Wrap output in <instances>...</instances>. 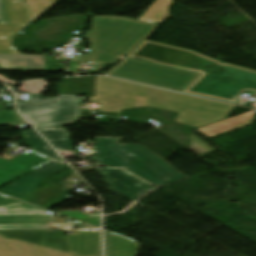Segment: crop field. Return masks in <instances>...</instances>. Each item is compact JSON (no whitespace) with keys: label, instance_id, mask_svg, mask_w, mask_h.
Listing matches in <instances>:
<instances>
[{"label":"crop field","instance_id":"8a807250","mask_svg":"<svg viewBox=\"0 0 256 256\" xmlns=\"http://www.w3.org/2000/svg\"><path fill=\"white\" fill-rule=\"evenodd\" d=\"M126 57L201 73L184 93L238 104L242 93L256 92V71L228 63L222 65V61L194 51L144 40Z\"/></svg>","mask_w":256,"mask_h":256},{"label":"crop field","instance_id":"ac0d7876","mask_svg":"<svg viewBox=\"0 0 256 256\" xmlns=\"http://www.w3.org/2000/svg\"><path fill=\"white\" fill-rule=\"evenodd\" d=\"M156 26L120 17H93L92 31L86 33V39L90 41V55H83L82 61L117 63L148 37Z\"/></svg>","mask_w":256,"mask_h":256},{"label":"crop field","instance_id":"34b2d1b8","mask_svg":"<svg viewBox=\"0 0 256 256\" xmlns=\"http://www.w3.org/2000/svg\"><path fill=\"white\" fill-rule=\"evenodd\" d=\"M120 138H97L95 160L108 166L124 168L160 187L189 178L142 145H119Z\"/></svg>","mask_w":256,"mask_h":256},{"label":"crop field","instance_id":"412701ff","mask_svg":"<svg viewBox=\"0 0 256 256\" xmlns=\"http://www.w3.org/2000/svg\"><path fill=\"white\" fill-rule=\"evenodd\" d=\"M147 106L180 112L177 122L200 127L224 119L236 107L157 89Z\"/></svg>","mask_w":256,"mask_h":256},{"label":"crop field","instance_id":"f4fd0767","mask_svg":"<svg viewBox=\"0 0 256 256\" xmlns=\"http://www.w3.org/2000/svg\"><path fill=\"white\" fill-rule=\"evenodd\" d=\"M11 1L0 0V30L19 32L29 24L26 5L12 6ZM50 56H25L12 47H0V70L12 71H46V61Z\"/></svg>","mask_w":256,"mask_h":256},{"label":"crop field","instance_id":"dd49c442","mask_svg":"<svg viewBox=\"0 0 256 256\" xmlns=\"http://www.w3.org/2000/svg\"><path fill=\"white\" fill-rule=\"evenodd\" d=\"M107 75L182 92L199 74L124 58Z\"/></svg>","mask_w":256,"mask_h":256},{"label":"crop field","instance_id":"e52e79f7","mask_svg":"<svg viewBox=\"0 0 256 256\" xmlns=\"http://www.w3.org/2000/svg\"><path fill=\"white\" fill-rule=\"evenodd\" d=\"M155 90L110 78L96 77L95 97H90V101L101 104V109L97 111L118 113L120 117L121 109L136 107L132 93L138 92L137 96L149 97Z\"/></svg>","mask_w":256,"mask_h":256},{"label":"crop field","instance_id":"d8731c3e","mask_svg":"<svg viewBox=\"0 0 256 256\" xmlns=\"http://www.w3.org/2000/svg\"><path fill=\"white\" fill-rule=\"evenodd\" d=\"M77 99L81 98L59 96L57 104L19 111L35 128L61 126L74 122L80 117L78 102L82 101Z\"/></svg>","mask_w":256,"mask_h":256},{"label":"crop field","instance_id":"5a996713","mask_svg":"<svg viewBox=\"0 0 256 256\" xmlns=\"http://www.w3.org/2000/svg\"><path fill=\"white\" fill-rule=\"evenodd\" d=\"M97 171L111 191L133 202L152 187L123 170L97 169Z\"/></svg>","mask_w":256,"mask_h":256},{"label":"crop field","instance_id":"3316defc","mask_svg":"<svg viewBox=\"0 0 256 256\" xmlns=\"http://www.w3.org/2000/svg\"><path fill=\"white\" fill-rule=\"evenodd\" d=\"M65 167H67V164L51 161L35 169L32 174L6 187L2 191L0 190L1 191L0 193L7 194L16 198H20L28 193L34 192L45 177Z\"/></svg>","mask_w":256,"mask_h":256},{"label":"crop field","instance_id":"28ad6ade","mask_svg":"<svg viewBox=\"0 0 256 256\" xmlns=\"http://www.w3.org/2000/svg\"><path fill=\"white\" fill-rule=\"evenodd\" d=\"M49 161L33 151L13 161L0 159V185Z\"/></svg>","mask_w":256,"mask_h":256},{"label":"crop field","instance_id":"d1516ede","mask_svg":"<svg viewBox=\"0 0 256 256\" xmlns=\"http://www.w3.org/2000/svg\"><path fill=\"white\" fill-rule=\"evenodd\" d=\"M0 256H72L71 253L47 248L0 235Z\"/></svg>","mask_w":256,"mask_h":256},{"label":"crop field","instance_id":"22f410ed","mask_svg":"<svg viewBox=\"0 0 256 256\" xmlns=\"http://www.w3.org/2000/svg\"><path fill=\"white\" fill-rule=\"evenodd\" d=\"M67 239L73 256H102L100 230L76 231Z\"/></svg>","mask_w":256,"mask_h":256},{"label":"crop field","instance_id":"cbeb9de0","mask_svg":"<svg viewBox=\"0 0 256 256\" xmlns=\"http://www.w3.org/2000/svg\"><path fill=\"white\" fill-rule=\"evenodd\" d=\"M105 256H136L140 244L121 234L104 230Z\"/></svg>","mask_w":256,"mask_h":256},{"label":"crop field","instance_id":"5142ce71","mask_svg":"<svg viewBox=\"0 0 256 256\" xmlns=\"http://www.w3.org/2000/svg\"><path fill=\"white\" fill-rule=\"evenodd\" d=\"M254 118L255 113L250 112L196 129L207 137L211 138L240 128L247 127L254 120Z\"/></svg>","mask_w":256,"mask_h":256},{"label":"crop field","instance_id":"d9b57169","mask_svg":"<svg viewBox=\"0 0 256 256\" xmlns=\"http://www.w3.org/2000/svg\"><path fill=\"white\" fill-rule=\"evenodd\" d=\"M95 77L64 79L58 85L59 94L94 96Z\"/></svg>","mask_w":256,"mask_h":256},{"label":"crop field","instance_id":"733c2abd","mask_svg":"<svg viewBox=\"0 0 256 256\" xmlns=\"http://www.w3.org/2000/svg\"><path fill=\"white\" fill-rule=\"evenodd\" d=\"M23 137L22 141L25 142L32 149L59 161L62 159L59 155L52 149V147L46 143L39 134L34 130L22 131L20 134Z\"/></svg>","mask_w":256,"mask_h":256},{"label":"crop field","instance_id":"4a817a6b","mask_svg":"<svg viewBox=\"0 0 256 256\" xmlns=\"http://www.w3.org/2000/svg\"><path fill=\"white\" fill-rule=\"evenodd\" d=\"M172 0H157L138 20L153 23H164L170 16L169 7Z\"/></svg>","mask_w":256,"mask_h":256},{"label":"crop field","instance_id":"bc2a9ffb","mask_svg":"<svg viewBox=\"0 0 256 256\" xmlns=\"http://www.w3.org/2000/svg\"><path fill=\"white\" fill-rule=\"evenodd\" d=\"M58 151H74L64 128L38 129Z\"/></svg>","mask_w":256,"mask_h":256},{"label":"crop field","instance_id":"214f88e0","mask_svg":"<svg viewBox=\"0 0 256 256\" xmlns=\"http://www.w3.org/2000/svg\"><path fill=\"white\" fill-rule=\"evenodd\" d=\"M30 21H34L43 12L56 3V0H26Z\"/></svg>","mask_w":256,"mask_h":256},{"label":"crop field","instance_id":"92a150f3","mask_svg":"<svg viewBox=\"0 0 256 256\" xmlns=\"http://www.w3.org/2000/svg\"><path fill=\"white\" fill-rule=\"evenodd\" d=\"M58 97L44 98L42 96L28 95V101L17 102L18 109L53 104L57 102Z\"/></svg>","mask_w":256,"mask_h":256},{"label":"crop field","instance_id":"dafd665d","mask_svg":"<svg viewBox=\"0 0 256 256\" xmlns=\"http://www.w3.org/2000/svg\"><path fill=\"white\" fill-rule=\"evenodd\" d=\"M190 137L191 143L189 144L188 148L193 150L198 155L202 156L212 152H216V150H214L212 147H210L208 144L198 139L194 135L191 134Z\"/></svg>","mask_w":256,"mask_h":256},{"label":"crop field","instance_id":"00972430","mask_svg":"<svg viewBox=\"0 0 256 256\" xmlns=\"http://www.w3.org/2000/svg\"><path fill=\"white\" fill-rule=\"evenodd\" d=\"M45 86H49V85L44 80L30 81V82L23 83L18 91H20V92L42 93V92H44L43 87H45Z\"/></svg>","mask_w":256,"mask_h":256},{"label":"crop field","instance_id":"a9b5d70f","mask_svg":"<svg viewBox=\"0 0 256 256\" xmlns=\"http://www.w3.org/2000/svg\"><path fill=\"white\" fill-rule=\"evenodd\" d=\"M8 120H24L16 110L8 111V112H0V121H8Z\"/></svg>","mask_w":256,"mask_h":256},{"label":"crop field","instance_id":"4177f3b9","mask_svg":"<svg viewBox=\"0 0 256 256\" xmlns=\"http://www.w3.org/2000/svg\"><path fill=\"white\" fill-rule=\"evenodd\" d=\"M25 121H8V122H0V126L2 125H10L11 127L21 128L24 126Z\"/></svg>","mask_w":256,"mask_h":256},{"label":"crop field","instance_id":"730fd06b","mask_svg":"<svg viewBox=\"0 0 256 256\" xmlns=\"http://www.w3.org/2000/svg\"><path fill=\"white\" fill-rule=\"evenodd\" d=\"M133 99L137 100V107L146 106V104H147V102L144 101L146 99L144 97H136V96H134Z\"/></svg>","mask_w":256,"mask_h":256},{"label":"crop field","instance_id":"eef30255","mask_svg":"<svg viewBox=\"0 0 256 256\" xmlns=\"http://www.w3.org/2000/svg\"><path fill=\"white\" fill-rule=\"evenodd\" d=\"M73 225H74V228H93L82 223H73Z\"/></svg>","mask_w":256,"mask_h":256},{"label":"crop field","instance_id":"ae1a2a85","mask_svg":"<svg viewBox=\"0 0 256 256\" xmlns=\"http://www.w3.org/2000/svg\"><path fill=\"white\" fill-rule=\"evenodd\" d=\"M0 80L2 81V82H4V83H10V84H17V83H15V82H12V81H9V80H7V79H5L4 77H2V76H0Z\"/></svg>","mask_w":256,"mask_h":256},{"label":"crop field","instance_id":"d3111659","mask_svg":"<svg viewBox=\"0 0 256 256\" xmlns=\"http://www.w3.org/2000/svg\"><path fill=\"white\" fill-rule=\"evenodd\" d=\"M13 5L21 4L20 2H12Z\"/></svg>","mask_w":256,"mask_h":256}]
</instances>
